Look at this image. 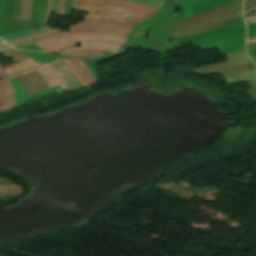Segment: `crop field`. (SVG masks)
<instances>
[{
  "label": "crop field",
  "instance_id": "obj_1",
  "mask_svg": "<svg viewBox=\"0 0 256 256\" xmlns=\"http://www.w3.org/2000/svg\"><path fill=\"white\" fill-rule=\"evenodd\" d=\"M87 12L92 15H85V22H79L77 23L78 25H70V28L110 29L129 34L134 23L137 24L144 21L129 15L110 11Z\"/></svg>",
  "mask_w": 256,
  "mask_h": 256
},
{
  "label": "crop field",
  "instance_id": "obj_2",
  "mask_svg": "<svg viewBox=\"0 0 256 256\" xmlns=\"http://www.w3.org/2000/svg\"><path fill=\"white\" fill-rule=\"evenodd\" d=\"M110 42L115 44H124L126 39L112 36L109 34H85V33H68L61 36L55 40L38 44L39 47L46 51H55L59 48L65 47L67 45L76 44L77 42Z\"/></svg>",
  "mask_w": 256,
  "mask_h": 256
},
{
  "label": "crop field",
  "instance_id": "obj_3",
  "mask_svg": "<svg viewBox=\"0 0 256 256\" xmlns=\"http://www.w3.org/2000/svg\"><path fill=\"white\" fill-rule=\"evenodd\" d=\"M78 6H114L134 12H138L147 16L153 15L158 10L153 8L143 7L121 0H78Z\"/></svg>",
  "mask_w": 256,
  "mask_h": 256
},
{
  "label": "crop field",
  "instance_id": "obj_4",
  "mask_svg": "<svg viewBox=\"0 0 256 256\" xmlns=\"http://www.w3.org/2000/svg\"><path fill=\"white\" fill-rule=\"evenodd\" d=\"M16 77L21 83V86L24 89L27 96L39 90L48 88V85L41 79L37 71Z\"/></svg>",
  "mask_w": 256,
  "mask_h": 256
},
{
  "label": "crop field",
  "instance_id": "obj_5",
  "mask_svg": "<svg viewBox=\"0 0 256 256\" xmlns=\"http://www.w3.org/2000/svg\"><path fill=\"white\" fill-rule=\"evenodd\" d=\"M79 48L69 49L62 54H68L70 52H73L75 50H107V51H113L117 52L121 45H115V44H109V43H80Z\"/></svg>",
  "mask_w": 256,
  "mask_h": 256
},
{
  "label": "crop field",
  "instance_id": "obj_6",
  "mask_svg": "<svg viewBox=\"0 0 256 256\" xmlns=\"http://www.w3.org/2000/svg\"><path fill=\"white\" fill-rule=\"evenodd\" d=\"M49 30H51V29L46 27V26H42V27L34 28V29H31V30H28V31H24V32L3 35V36H0V38L2 40H4L5 42H9V41L16 40V39H19V38H23V37H27V36H31V35H35V34H39V33H43V32H47Z\"/></svg>",
  "mask_w": 256,
  "mask_h": 256
},
{
  "label": "crop field",
  "instance_id": "obj_7",
  "mask_svg": "<svg viewBox=\"0 0 256 256\" xmlns=\"http://www.w3.org/2000/svg\"><path fill=\"white\" fill-rule=\"evenodd\" d=\"M65 60L72 66L74 71L84 80L88 87L96 84L91 77L85 72V70L79 65V63L75 60L73 55L65 58Z\"/></svg>",
  "mask_w": 256,
  "mask_h": 256
},
{
  "label": "crop field",
  "instance_id": "obj_8",
  "mask_svg": "<svg viewBox=\"0 0 256 256\" xmlns=\"http://www.w3.org/2000/svg\"><path fill=\"white\" fill-rule=\"evenodd\" d=\"M0 77L3 80L4 87H5V94H6V104L7 109L15 105L14 99V91L13 87L11 86L7 76L5 75L1 65H0Z\"/></svg>",
  "mask_w": 256,
  "mask_h": 256
},
{
  "label": "crop field",
  "instance_id": "obj_9",
  "mask_svg": "<svg viewBox=\"0 0 256 256\" xmlns=\"http://www.w3.org/2000/svg\"><path fill=\"white\" fill-rule=\"evenodd\" d=\"M40 71L49 80L52 86L59 84L61 90H67L62 80L51 70L49 66L40 69Z\"/></svg>",
  "mask_w": 256,
  "mask_h": 256
},
{
  "label": "crop field",
  "instance_id": "obj_10",
  "mask_svg": "<svg viewBox=\"0 0 256 256\" xmlns=\"http://www.w3.org/2000/svg\"><path fill=\"white\" fill-rule=\"evenodd\" d=\"M77 10H110V11L129 14V15H132V16L144 19V20L148 19V17L138 14V13H134V12H130V11H122L120 9H115V8H110V7H78Z\"/></svg>",
  "mask_w": 256,
  "mask_h": 256
},
{
  "label": "crop field",
  "instance_id": "obj_11",
  "mask_svg": "<svg viewBox=\"0 0 256 256\" xmlns=\"http://www.w3.org/2000/svg\"><path fill=\"white\" fill-rule=\"evenodd\" d=\"M35 65H37V63H33L32 60L29 59V60H25V61H23V62H21L17 65L6 68L4 70H5V73L8 75V74H10L14 71L30 68V67H33Z\"/></svg>",
  "mask_w": 256,
  "mask_h": 256
},
{
  "label": "crop field",
  "instance_id": "obj_12",
  "mask_svg": "<svg viewBox=\"0 0 256 256\" xmlns=\"http://www.w3.org/2000/svg\"><path fill=\"white\" fill-rule=\"evenodd\" d=\"M124 1L153 7V8L158 9V10L160 9V7L162 5L161 2H157V1H154V0H124ZM159 1H162V0H159Z\"/></svg>",
  "mask_w": 256,
  "mask_h": 256
},
{
  "label": "crop field",
  "instance_id": "obj_13",
  "mask_svg": "<svg viewBox=\"0 0 256 256\" xmlns=\"http://www.w3.org/2000/svg\"><path fill=\"white\" fill-rule=\"evenodd\" d=\"M10 81L14 87V91H15V97H16V102L19 103L22 100H24L23 97V91L21 89V86L19 85L18 81L15 79V77L10 78Z\"/></svg>",
  "mask_w": 256,
  "mask_h": 256
},
{
  "label": "crop field",
  "instance_id": "obj_14",
  "mask_svg": "<svg viewBox=\"0 0 256 256\" xmlns=\"http://www.w3.org/2000/svg\"><path fill=\"white\" fill-rule=\"evenodd\" d=\"M70 32H90V33H109L114 35H119L123 37H128V35L113 32V31H107V30H94V29H70Z\"/></svg>",
  "mask_w": 256,
  "mask_h": 256
},
{
  "label": "crop field",
  "instance_id": "obj_15",
  "mask_svg": "<svg viewBox=\"0 0 256 256\" xmlns=\"http://www.w3.org/2000/svg\"><path fill=\"white\" fill-rule=\"evenodd\" d=\"M3 55H5L7 57H11V58L13 57V59L16 61V62H14L10 65L3 66V68L11 66L15 63H18V62L22 61V60L29 59V57H26V56L22 55L21 53L17 52L16 50H14L10 53L3 54Z\"/></svg>",
  "mask_w": 256,
  "mask_h": 256
},
{
  "label": "crop field",
  "instance_id": "obj_16",
  "mask_svg": "<svg viewBox=\"0 0 256 256\" xmlns=\"http://www.w3.org/2000/svg\"><path fill=\"white\" fill-rule=\"evenodd\" d=\"M21 191H22V189L17 186L0 187V194L17 193V192H21Z\"/></svg>",
  "mask_w": 256,
  "mask_h": 256
},
{
  "label": "crop field",
  "instance_id": "obj_17",
  "mask_svg": "<svg viewBox=\"0 0 256 256\" xmlns=\"http://www.w3.org/2000/svg\"><path fill=\"white\" fill-rule=\"evenodd\" d=\"M103 52L104 51H76V52L71 53V54H79V55H82V56L93 57V56L101 55Z\"/></svg>",
  "mask_w": 256,
  "mask_h": 256
},
{
  "label": "crop field",
  "instance_id": "obj_18",
  "mask_svg": "<svg viewBox=\"0 0 256 256\" xmlns=\"http://www.w3.org/2000/svg\"><path fill=\"white\" fill-rule=\"evenodd\" d=\"M6 109L5 94L2 81L0 80V110Z\"/></svg>",
  "mask_w": 256,
  "mask_h": 256
},
{
  "label": "crop field",
  "instance_id": "obj_19",
  "mask_svg": "<svg viewBox=\"0 0 256 256\" xmlns=\"http://www.w3.org/2000/svg\"><path fill=\"white\" fill-rule=\"evenodd\" d=\"M66 32H67V31H66ZM61 33H64V32H61V31L57 30V31L52 32V33H50V34H48V35L41 36V37H37V38H32V39H33V41H34L35 43H37V42L43 41V40H45V39L51 38V37H53V36L59 35V34H61Z\"/></svg>",
  "mask_w": 256,
  "mask_h": 256
},
{
  "label": "crop field",
  "instance_id": "obj_20",
  "mask_svg": "<svg viewBox=\"0 0 256 256\" xmlns=\"http://www.w3.org/2000/svg\"><path fill=\"white\" fill-rule=\"evenodd\" d=\"M72 0H67L65 17H70Z\"/></svg>",
  "mask_w": 256,
  "mask_h": 256
},
{
  "label": "crop field",
  "instance_id": "obj_21",
  "mask_svg": "<svg viewBox=\"0 0 256 256\" xmlns=\"http://www.w3.org/2000/svg\"><path fill=\"white\" fill-rule=\"evenodd\" d=\"M76 58V60L80 63V65L87 71V73L94 79V81L96 82V78L89 72V70L84 66V64L81 62V60L77 57L74 56Z\"/></svg>",
  "mask_w": 256,
  "mask_h": 256
},
{
  "label": "crop field",
  "instance_id": "obj_22",
  "mask_svg": "<svg viewBox=\"0 0 256 256\" xmlns=\"http://www.w3.org/2000/svg\"><path fill=\"white\" fill-rule=\"evenodd\" d=\"M245 20H246V24L247 25L256 23V16H252V17L246 18Z\"/></svg>",
  "mask_w": 256,
  "mask_h": 256
},
{
  "label": "crop field",
  "instance_id": "obj_23",
  "mask_svg": "<svg viewBox=\"0 0 256 256\" xmlns=\"http://www.w3.org/2000/svg\"><path fill=\"white\" fill-rule=\"evenodd\" d=\"M65 64L73 71V69L71 68V66L64 60L62 59ZM73 73L79 78V80L82 82V84L85 86V88H87L86 84L83 82V80L73 71Z\"/></svg>",
  "mask_w": 256,
  "mask_h": 256
},
{
  "label": "crop field",
  "instance_id": "obj_24",
  "mask_svg": "<svg viewBox=\"0 0 256 256\" xmlns=\"http://www.w3.org/2000/svg\"><path fill=\"white\" fill-rule=\"evenodd\" d=\"M8 49H11V48L9 46H7V45H1L0 46V52L4 51V50H8Z\"/></svg>",
  "mask_w": 256,
  "mask_h": 256
},
{
  "label": "crop field",
  "instance_id": "obj_25",
  "mask_svg": "<svg viewBox=\"0 0 256 256\" xmlns=\"http://www.w3.org/2000/svg\"><path fill=\"white\" fill-rule=\"evenodd\" d=\"M55 30H57V29H55ZM55 30H53V31H55ZM50 32H52V31H50ZM50 32H47V33H44V34H40V35H36V36H31V37L23 38V39H19V40H24V39H28V38H32V37H37V36L45 35V34H48V33H50ZM19 40H16V41H19ZM13 42H14V41H13ZM9 43H10V42H9Z\"/></svg>",
  "mask_w": 256,
  "mask_h": 256
},
{
  "label": "crop field",
  "instance_id": "obj_26",
  "mask_svg": "<svg viewBox=\"0 0 256 256\" xmlns=\"http://www.w3.org/2000/svg\"><path fill=\"white\" fill-rule=\"evenodd\" d=\"M58 60H60V59H58ZM58 60H56V61H58ZM56 61H54V62H56ZM54 62H52V63H54ZM52 63H50V64H52ZM50 64H48V65H50ZM47 66V65H46ZM45 67V66H44ZM40 68V67H39ZM36 70H38V69H36ZM33 71H35V70H32V71H28V72H33ZM28 72H24V73H28ZM24 73H20V74H24ZM20 74H17V75H20ZM13 76H16V75H13ZM10 77H12V76H9L8 78H10Z\"/></svg>",
  "mask_w": 256,
  "mask_h": 256
},
{
  "label": "crop field",
  "instance_id": "obj_27",
  "mask_svg": "<svg viewBox=\"0 0 256 256\" xmlns=\"http://www.w3.org/2000/svg\"><path fill=\"white\" fill-rule=\"evenodd\" d=\"M4 185H12V183H10V182H0V186H4Z\"/></svg>",
  "mask_w": 256,
  "mask_h": 256
},
{
  "label": "crop field",
  "instance_id": "obj_28",
  "mask_svg": "<svg viewBox=\"0 0 256 256\" xmlns=\"http://www.w3.org/2000/svg\"><path fill=\"white\" fill-rule=\"evenodd\" d=\"M66 34V33H65ZM63 35V34H62ZM59 36H61V35H59ZM59 36H56V37H53V38H51V39H49V40H52V39H55V38H57V37H59ZM46 41H48V40H46ZM43 42H45V41H43ZM40 43H42V42H40ZM38 44V43H37Z\"/></svg>",
  "mask_w": 256,
  "mask_h": 256
},
{
  "label": "crop field",
  "instance_id": "obj_29",
  "mask_svg": "<svg viewBox=\"0 0 256 256\" xmlns=\"http://www.w3.org/2000/svg\"><path fill=\"white\" fill-rule=\"evenodd\" d=\"M0 180H7V179H5V178H0ZM7 181H9V180H7Z\"/></svg>",
  "mask_w": 256,
  "mask_h": 256
}]
</instances>
